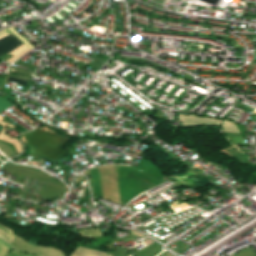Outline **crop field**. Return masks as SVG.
Listing matches in <instances>:
<instances>
[{
	"label": "crop field",
	"instance_id": "1",
	"mask_svg": "<svg viewBox=\"0 0 256 256\" xmlns=\"http://www.w3.org/2000/svg\"><path fill=\"white\" fill-rule=\"evenodd\" d=\"M22 136L29 147L31 155L33 156L55 161L67 154L60 148L64 145L68 138L49 131L44 132L38 129L24 133Z\"/></svg>",
	"mask_w": 256,
	"mask_h": 256
},
{
	"label": "crop field",
	"instance_id": "2",
	"mask_svg": "<svg viewBox=\"0 0 256 256\" xmlns=\"http://www.w3.org/2000/svg\"><path fill=\"white\" fill-rule=\"evenodd\" d=\"M108 168H109V174H110V180H111L114 201L121 203L116 166H108ZM97 170H98V175H99L100 186H101L103 198L113 201L107 166L102 167V168H97ZM97 170L91 169V170H89V172H90V176H91V180H92L94 195L102 197L101 191H100V186H99Z\"/></svg>",
	"mask_w": 256,
	"mask_h": 256
},
{
	"label": "crop field",
	"instance_id": "3",
	"mask_svg": "<svg viewBox=\"0 0 256 256\" xmlns=\"http://www.w3.org/2000/svg\"><path fill=\"white\" fill-rule=\"evenodd\" d=\"M23 167H27V166H23ZM23 167H20L18 165H15L9 162L6 166L2 168V170H5L10 173H15V174L35 178L44 182H46L47 179L49 178V176L45 175L44 173L37 172L38 170L33 171V170H36L34 168L27 167V168L33 169V170H30ZM65 191H66V188L61 182L56 181L52 178H49V180L45 183L43 189L41 190V194L44 196L45 199H50V198H54L64 194Z\"/></svg>",
	"mask_w": 256,
	"mask_h": 256
},
{
	"label": "crop field",
	"instance_id": "4",
	"mask_svg": "<svg viewBox=\"0 0 256 256\" xmlns=\"http://www.w3.org/2000/svg\"><path fill=\"white\" fill-rule=\"evenodd\" d=\"M7 29H9L15 36H17L22 42H24L28 47H30L31 49L34 48L30 43H28L18 32H16L11 26L8 27ZM5 29L3 31L0 32V35L7 32L8 30ZM11 32H7L3 35L0 36V55L4 54V53H8L11 50L15 49L16 47H18L19 45L23 44L19 39H17ZM26 45H22L19 48L13 50L12 52H10L9 54H13L15 55L14 57H12V55H7L4 54L2 56H0V60L2 61H6L9 59V62H13L15 61L17 58H19L20 56H22L23 54H25L26 52H28L30 49L26 46Z\"/></svg>",
	"mask_w": 256,
	"mask_h": 256
},
{
	"label": "crop field",
	"instance_id": "5",
	"mask_svg": "<svg viewBox=\"0 0 256 256\" xmlns=\"http://www.w3.org/2000/svg\"><path fill=\"white\" fill-rule=\"evenodd\" d=\"M10 244H12L14 247L22 249V250H26L32 253H37L40 251V248H34V247H30L26 244H24L23 242H21L19 239H16L12 242H10ZM39 255L42 256H62L60 254H58L56 251L54 250H50V249H41V251L39 252Z\"/></svg>",
	"mask_w": 256,
	"mask_h": 256
},
{
	"label": "crop field",
	"instance_id": "6",
	"mask_svg": "<svg viewBox=\"0 0 256 256\" xmlns=\"http://www.w3.org/2000/svg\"><path fill=\"white\" fill-rule=\"evenodd\" d=\"M71 256H111L107 253L76 247Z\"/></svg>",
	"mask_w": 256,
	"mask_h": 256
},
{
	"label": "crop field",
	"instance_id": "7",
	"mask_svg": "<svg viewBox=\"0 0 256 256\" xmlns=\"http://www.w3.org/2000/svg\"><path fill=\"white\" fill-rule=\"evenodd\" d=\"M144 243H146L147 245L152 243V241H150L149 239L143 241ZM148 247V246H147ZM161 247L157 246L156 244H151L149 245L148 248L142 250V251H139L137 252V256H150L151 254H153L154 252L160 250Z\"/></svg>",
	"mask_w": 256,
	"mask_h": 256
},
{
	"label": "crop field",
	"instance_id": "8",
	"mask_svg": "<svg viewBox=\"0 0 256 256\" xmlns=\"http://www.w3.org/2000/svg\"><path fill=\"white\" fill-rule=\"evenodd\" d=\"M14 63L20 65V67H19V69L17 71L19 73H24V74L32 75V73L36 70V67L31 66V65L23 62L20 59L17 60L16 62H14Z\"/></svg>",
	"mask_w": 256,
	"mask_h": 256
},
{
	"label": "crop field",
	"instance_id": "9",
	"mask_svg": "<svg viewBox=\"0 0 256 256\" xmlns=\"http://www.w3.org/2000/svg\"><path fill=\"white\" fill-rule=\"evenodd\" d=\"M0 237L8 243L17 236L14 234L12 230L0 224Z\"/></svg>",
	"mask_w": 256,
	"mask_h": 256
},
{
	"label": "crop field",
	"instance_id": "10",
	"mask_svg": "<svg viewBox=\"0 0 256 256\" xmlns=\"http://www.w3.org/2000/svg\"><path fill=\"white\" fill-rule=\"evenodd\" d=\"M78 232L83 237H88V238L97 237V236H100L102 234L98 229L82 230V231H78Z\"/></svg>",
	"mask_w": 256,
	"mask_h": 256
},
{
	"label": "crop field",
	"instance_id": "11",
	"mask_svg": "<svg viewBox=\"0 0 256 256\" xmlns=\"http://www.w3.org/2000/svg\"><path fill=\"white\" fill-rule=\"evenodd\" d=\"M0 150L8 157L14 155V150L7 144L0 142Z\"/></svg>",
	"mask_w": 256,
	"mask_h": 256
},
{
	"label": "crop field",
	"instance_id": "12",
	"mask_svg": "<svg viewBox=\"0 0 256 256\" xmlns=\"http://www.w3.org/2000/svg\"><path fill=\"white\" fill-rule=\"evenodd\" d=\"M11 247L0 239V256H5Z\"/></svg>",
	"mask_w": 256,
	"mask_h": 256
},
{
	"label": "crop field",
	"instance_id": "13",
	"mask_svg": "<svg viewBox=\"0 0 256 256\" xmlns=\"http://www.w3.org/2000/svg\"><path fill=\"white\" fill-rule=\"evenodd\" d=\"M12 105H14V104H12L11 102H9L3 98H0V112ZM0 130H1V127H0Z\"/></svg>",
	"mask_w": 256,
	"mask_h": 256
},
{
	"label": "crop field",
	"instance_id": "14",
	"mask_svg": "<svg viewBox=\"0 0 256 256\" xmlns=\"http://www.w3.org/2000/svg\"><path fill=\"white\" fill-rule=\"evenodd\" d=\"M8 80L12 81V82H16V83H18L17 85L22 86V87H24L27 83L26 80H22V79L10 77V76H8Z\"/></svg>",
	"mask_w": 256,
	"mask_h": 256
},
{
	"label": "crop field",
	"instance_id": "15",
	"mask_svg": "<svg viewBox=\"0 0 256 256\" xmlns=\"http://www.w3.org/2000/svg\"><path fill=\"white\" fill-rule=\"evenodd\" d=\"M8 75L14 76V77H18V78H22V79H26V80H30L31 79V77H28V76H25V75H22V74H17V73L9 72Z\"/></svg>",
	"mask_w": 256,
	"mask_h": 256
},
{
	"label": "crop field",
	"instance_id": "16",
	"mask_svg": "<svg viewBox=\"0 0 256 256\" xmlns=\"http://www.w3.org/2000/svg\"><path fill=\"white\" fill-rule=\"evenodd\" d=\"M9 256H31V255L24 254V253L17 252V251H11Z\"/></svg>",
	"mask_w": 256,
	"mask_h": 256
},
{
	"label": "crop field",
	"instance_id": "17",
	"mask_svg": "<svg viewBox=\"0 0 256 256\" xmlns=\"http://www.w3.org/2000/svg\"><path fill=\"white\" fill-rule=\"evenodd\" d=\"M17 65H14L13 67H10L9 71H14Z\"/></svg>",
	"mask_w": 256,
	"mask_h": 256
},
{
	"label": "crop field",
	"instance_id": "18",
	"mask_svg": "<svg viewBox=\"0 0 256 256\" xmlns=\"http://www.w3.org/2000/svg\"><path fill=\"white\" fill-rule=\"evenodd\" d=\"M131 233H133V234H135V235H137V236H139V237H141L142 235H140V234H138V233H136V232H134V231H130Z\"/></svg>",
	"mask_w": 256,
	"mask_h": 256
},
{
	"label": "crop field",
	"instance_id": "19",
	"mask_svg": "<svg viewBox=\"0 0 256 256\" xmlns=\"http://www.w3.org/2000/svg\"><path fill=\"white\" fill-rule=\"evenodd\" d=\"M161 256H168V255L164 253V254H162Z\"/></svg>",
	"mask_w": 256,
	"mask_h": 256
},
{
	"label": "crop field",
	"instance_id": "20",
	"mask_svg": "<svg viewBox=\"0 0 256 256\" xmlns=\"http://www.w3.org/2000/svg\"><path fill=\"white\" fill-rule=\"evenodd\" d=\"M131 237V236H130ZM129 238V237H128Z\"/></svg>",
	"mask_w": 256,
	"mask_h": 256
},
{
	"label": "crop field",
	"instance_id": "21",
	"mask_svg": "<svg viewBox=\"0 0 256 256\" xmlns=\"http://www.w3.org/2000/svg\"><path fill=\"white\" fill-rule=\"evenodd\" d=\"M1 163V162H0Z\"/></svg>",
	"mask_w": 256,
	"mask_h": 256
}]
</instances>
